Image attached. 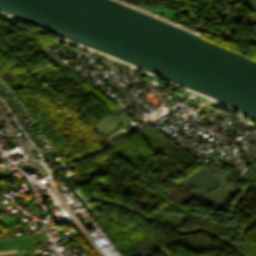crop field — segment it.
Masks as SVG:
<instances>
[{"label": "crop field", "instance_id": "1", "mask_svg": "<svg viewBox=\"0 0 256 256\" xmlns=\"http://www.w3.org/2000/svg\"><path fill=\"white\" fill-rule=\"evenodd\" d=\"M5 243H6V247L10 248V247L34 244V239L30 238V239H23V240H15V241H8V242H5ZM5 243L4 242L0 243V249L1 248H6Z\"/></svg>", "mask_w": 256, "mask_h": 256}, {"label": "crop field", "instance_id": "2", "mask_svg": "<svg viewBox=\"0 0 256 256\" xmlns=\"http://www.w3.org/2000/svg\"><path fill=\"white\" fill-rule=\"evenodd\" d=\"M13 252H17V251H16V250H13V251H5V252H0V254L13 253Z\"/></svg>", "mask_w": 256, "mask_h": 256}, {"label": "crop field", "instance_id": "3", "mask_svg": "<svg viewBox=\"0 0 256 256\" xmlns=\"http://www.w3.org/2000/svg\"><path fill=\"white\" fill-rule=\"evenodd\" d=\"M28 246H31V245H28ZM28 246H22V247H28ZM22 247H16V248H22ZM16 248H10V249H16ZM10 249H7V250H10ZM6 249H3V250H0V251H4Z\"/></svg>", "mask_w": 256, "mask_h": 256}, {"label": "crop field", "instance_id": "4", "mask_svg": "<svg viewBox=\"0 0 256 256\" xmlns=\"http://www.w3.org/2000/svg\"><path fill=\"white\" fill-rule=\"evenodd\" d=\"M12 255H17V254L14 253V254H6V255H0V256H12Z\"/></svg>", "mask_w": 256, "mask_h": 256}, {"label": "crop field", "instance_id": "5", "mask_svg": "<svg viewBox=\"0 0 256 256\" xmlns=\"http://www.w3.org/2000/svg\"><path fill=\"white\" fill-rule=\"evenodd\" d=\"M0 241H3L2 239H0Z\"/></svg>", "mask_w": 256, "mask_h": 256}]
</instances>
